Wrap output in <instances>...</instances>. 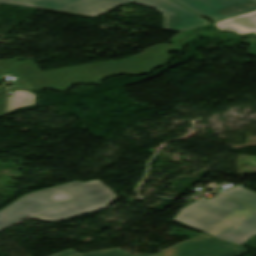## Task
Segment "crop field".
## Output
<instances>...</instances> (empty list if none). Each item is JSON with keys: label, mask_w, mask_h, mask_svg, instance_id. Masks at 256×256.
Here are the masks:
<instances>
[{"label": "crop field", "mask_w": 256, "mask_h": 256, "mask_svg": "<svg viewBox=\"0 0 256 256\" xmlns=\"http://www.w3.org/2000/svg\"><path fill=\"white\" fill-rule=\"evenodd\" d=\"M116 198L99 180L52 187L30 193L0 211V228L28 215L56 221L104 208Z\"/></svg>", "instance_id": "1"}, {"label": "crop field", "mask_w": 256, "mask_h": 256, "mask_svg": "<svg viewBox=\"0 0 256 256\" xmlns=\"http://www.w3.org/2000/svg\"><path fill=\"white\" fill-rule=\"evenodd\" d=\"M174 220L237 244L256 234V209L221 194L188 205Z\"/></svg>", "instance_id": "2"}, {"label": "crop field", "mask_w": 256, "mask_h": 256, "mask_svg": "<svg viewBox=\"0 0 256 256\" xmlns=\"http://www.w3.org/2000/svg\"><path fill=\"white\" fill-rule=\"evenodd\" d=\"M0 3L92 18H96L124 3H136L161 12L164 15L163 29L182 32L209 24L196 13L172 0H0Z\"/></svg>", "instance_id": "3"}, {"label": "crop field", "mask_w": 256, "mask_h": 256, "mask_svg": "<svg viewBox=\"0 0 256 256\" xmlns=\"http://www.w3.org/2000/svg\"><path fill=\"white\" fill-rule=\"evenodd\" d=\"M181 51V47L170 44H160L146 49L134 57L114 62L96 63L78 67L65 68L44 72L51 85L60 90L66 89L72 82L97 83L99 77L119 72L143 73L153 66L165 63L169 51Z\"/></svg>", "instance_id": "4"}, {"label": "crop field", "mask_w": 256, "mask_h": 256, "mask_svg": "<svg viewBox=\"0 0 256 256\" xmlns=\"http://www.w3.org/2000/svg\"><path fill=\"white\" fill-rule=\"evenodd\" d=\"M243 246L200 235L154 255L159 256H239Z\"/></svg>", "instance_id": "5"}, {"label": "crop field", "mask_w": 256, "mask_h": 256, "mask_svg": "<svg viewBox=\"0 0 256 256\" xmlns=\"http://www.w3.org/2000/svg\"><path fill=\"white\" fill-rule=\"evenodd\" d=\"M199 15L217 22L256 10L254 0H174ZM197 14V15H198Z\"/></svg>", "instance_id": "6"}, {"label": "crop field", "mask_w": 256, "mask_h": 256, "mask_svg": "<svg viewBox=\"0 0 256 256\" xmlns=\"http://www.w3.org/2000/svg\"><path fill=\"white\" fill-rule=\"evenodd\" d=\"M12 71L21 88H26V84L31 86L27 89L51 87L32 60L19 63Z\"/></svg>", "instance_id": "7"}, {"label": "crop field", "mask_w": 256, "mask_h": 256, "mask_svg": "<svg viewBox=\"0 0 256 256\" xmlns=\"http://www.w3.org/2000/svg\"><path fill=\"white\" fill-rule=\"evenodd\" d=\"M219 29L232 30L238 34L256 33V11L215 23Z\"/></svg>", "instance_id": "8"}, {"label": "crop field", "mask_w": 256, "mask_h": 256, "mask_svg": "<svg viewBox=\"0 0 256 256\" xmlns=\"http://www.w3.org/2000/svg\"><path fill=\"white\" fill-rule=\"evenodd\" d=\"M33 105H35V94L24 90H14L10 96L8 112Z\"/></svg>", "instance_id": "9"}, {"label": "crop field", "mask_w": 256, "mask_h": 256, "mask_svg": "<svg viewBox=\"0 0 256 256\" xmlns=\"http://www.w3.org/2000/svg\"><path fill=\"white\" fill-rule=\"evenodd\" d=\"M221 193L256 207V193L244 187H233Z\"/></svg>", "instance_id": "10"}, {"label": "crop field", "mask_w": 256, "mask_h": 256, "mask_svg": "<svg viewBox=\"0 0 256 256\" xmlns=\"http://www.w3.org/2000/svg\"><path fill=\"white\" fill-rule=\"evenodd\" d=\"M52 256H133V255L125 251H122L118 248H115V249H109V250H104L99 252L87 253L83 255H81L80 253L74 250H66ZM140 256H153V255L147 254V255H140Z\"/></svg>", "instance_id": "11"}, {"label": "crop field", "mask_w": 256, "mask_h": 256, "mask_svg": "<svg viewBox=\"0 0 256 256\" xmlns=\"http://www.w3.org/2000/svg\"><path fill=\"white\" fill-rule=\"evenodd\" d=\"M19 59L21 58H14L11 60H3L0 61V82L6 72L11 70L15 65L19 63Z\"/></svg>", "instance_id": "12"}, {"label": "crop field", "mask_w": 256, "mask_h": 256, "mask_svg": "<svg viewBox=\"0 0 256 256\" xmlns=\"http://www.w3.org/2000/svg\"><path fill=\"white\" fill-rule=\"evenodd\" d=\"M7 103V89H0V116L5 114Z\"/></svg>", "instance_id": "13"}]
</instances>
